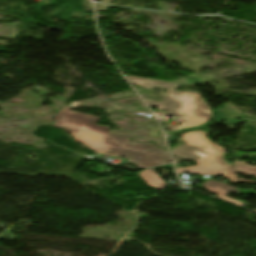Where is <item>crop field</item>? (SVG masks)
Returning a JSON list of instances; mask_svg holds the SVG:
<instances>
[{"label":"crop field","instance_id":"crop-field-1","mask_svg":"<svg viewBox=\"0 0 256 256\" xmlns=\"http://www.w3.org/2000/svg\"><path fill=\"white\" fill-rule=\"evenodd\" d=\"M51 126L64 128L77 142L98 155L129 158V163L138 164L137 167L149 168L168 164L166 151L157 149L153 144L129 143L130 139L113 136L109 131L81 127L62 122H55Z\"/></svg>","mask_w":256,"mask_h":256},{"label":"crop field","instance_id":"crop-field-2","mask_svg":"<svg viewBox=\"0 0 256 256\" xmlns=\"http://www.w3.org/2000/svg\"><path fill=\"white\" fill-rule=\"evenodd\" d=\"M125 76L131 83L144 87L146 90L151 89L153 86L169 89L170 98H163V102L144 98L149 105L164 109L168 114L184 116L181 126L165 125L167 130L176 131L190 126H198L212 116L207 103L200 98L197 92H173V88L178 84Z\"/></svg>","mask_w":256,"mask_h":256},{"label":"crop field","instance_id":"crop-field-3","mask_svg":"<svg viewBox=\"0 0 256 256\" xmlns=\"http://www.w3.org/2000/svg\"><path fill=\"white\" fill-rule=\"evenodd\" d=\"M194 161L198 163L197 166L188 168L176 167L178 174L181 175L184 172H189L197 175H223L228 177L232 182H237L233 165L226 164L221 156V153L196 159Z\"/></svg>","mask_w":256,"mask_h":256},{"label":"crop field","instance_id":"crop-field-4","mask_svg":"<svg viewBox=\"0 0 256 256\" xmlns=\"http://www.w3.org/2000/svg\"><path fill=\"white\" fill-rule=\"evenodd\" d=\"M100 117L61 109L55 120L71 124L108 130V126L94 125Z\"/></svg>","mask_w":256,"mask_h":256},{"label":"crop field","instance_id":"crop-field-5","mask_svg":"<svg viewBox=\"0 0 256 256\" xmlns=\"http://www.w3.org/2000/svg\"><path fill=\"white\" fill-rule=\"evenodd\" d=\"M204 189L217 195L220 198H223L225 200H228L230 202H233L238 205H242L244 203H241L236 200H232L230 198L225 197V195L230 191V192H235V193H240L237 188L229 187L221 182L217 181H212L208 180L206 183L203 185Z\"/></svg>","mask_w":256,"mask_h":256},{"label":"crop field","instance_id":"crop-field-6","mask_svg":"<svg viewBox=\"0 0 256 256\" xmlns=\"http://www.w3.org/2000/svg\"><path fill=\"white\" fill-rule=\"evenodd\" d=\"M200 148L208 149L210 151V153L206 154L205 152L200 151L199 150ZM193 151L200 152V153L204 154L205 156L221 152V150H219V149L199 147V146L186 144L183 148L180 147V146H175L172 150V153L174 155H177V156H180V157H183V158H188V159L199 158V156H196V155L191 153Z\"/></svg>","mask_w":256,"mask_h":256},{"label":"crop field","instance_id":"crop-field-7","mask_svg":"<svg viewBox=\"0 0 256 256\" xmlns=\"http://www.w3.org/2000/svg\"><path fill=\"white\" fill-rule=\"evenodd\" d=\"M218 115L216 122H223L232 118H246V116L234 105H226L219 110L214 111Z\"/></svg>","mask_w":256,"mask_h":256},{"label":"crop field","instance_id":"crop-field-8","mask_svg":"<svg viewBox=\"0 0 256 256\" xmlns=\"http://www.w3.org/2000/svg\"><path fill=\"white\" fill-rule=\"evenodd\" d=\"M206 133L207 132H203V131H192V132H187V133L183 134L182 137L184 140L188 141L187 143H189V144L217 148V145L209 142L205 138Z\"/></svg>","mask_w":256,"mask_h":256},{"label":"crop field","instance_id":"crop-field-9","mask_svg":"<svg viewBox=\"0 0 256 256\" xmlns=\"http://www.w3.org/2000/svg\"><path fill=\"white\" fill-rule=\"evenodd\" d=\"M139 175L151 187H155L158 190H161L167 187L164 184V182L161 180V178L154 172L153 169L144 170L143 172L139 173Z\"/></svg>","mask_w":256,"mask_h":256},{"label":"crop field","instance_id":"crop-field-10","mask_svg":"<svg viewBox=\"0 0 256 256\" xmlns=\"http://www.w3.org/2000/svg\"><path fill=\"white\" fill-rule=\"evenodd\" d=\"M246 162L247 161H235L234 166H235L236 172L256 176V166H249L246 164ZM237 180L238 182L255 183L250 180H244V179H237Z\"/></svg>","mask_w":256,"mask_h":256},{"label":"crop field","instance_id":"crop-field-11","mask_svg":"<svg viewBox=\"0 0 256 256\" xmlns=\"http://www.w3.org/2000/svg\"><path fill=\"white\" fill-rule=\"evenodd\" d=\"M234 157H248V158H252V157H256V153H238V154H234ZM254 159V158H252Z\"/></svg>","mask_w":256,"mask_h":256},{"label":"crop field","instance_id":"crop-field-12","mask_svg":"<svg viewBox=\"0 0 256 256\" xmlns=\"http://www.w3.org/2000/svg\"><path fill=\"white\" fill-rule=\"evenodd\" d=\"M248 121H232L229 124H225L227 127H229L230 129L234 128L232 127L233 125L239 124V123H247Z\"/></svg>","mask_w":256,"mask_h":256},{"label":"crop field","instance_id":"crop-field-13","mask_svg":"<svg viewBox=\"0 0 256 256\" xmlns=\"http://www.w3.org/2000/svg\"><path fill=\"white\" fill-rule=\"evenodd\" d=\"M242 193H248V194H256V191L254 190H248V189H241Z\"/></svg>","mask_w":256,"mask_h":256},{"label":"crop field","instance_id":"crop-field-14","mask_svg":"<svg viewBox=\"0 0 256 256\" xmlns=\"http://www.w3.org/2000/svg\"><path fill=\"white\" fill-rule=\"evenodd\" d=\"M162 167H164V168H167V169H169V170H171L172 172H173V174H175L174 173V169H173V165L172 164H170V165H166V166H162ZM156 168H154V170H155Z\"/></svg>","mask_w":256,"mask_h":256},{"label":"crop field","instance_id":"crop-field-15","mask_svg":"<svg viewBox=\"0 0 256 256\" xmlns=\"http://www.w3.org/2000/svg\"><path fill=\"white\" fill-rule=\"evenodd\" d=\"M194 153L197 154V155L203 156L202 154H199V153H197V152H194Z\"/></svg>","mask_w":256,"mask_h":256},{"label":"crop field","instance_id":"crop-field-16","mask_svg":"<svg viewBox=\"0 0 256 256\" xmlns=\"http://www.w3.org/2000/svg\"><path fill=\"white\" fill-rule=\"evenodd\" d=\"M201 150H202V149H201ZM203 151H205V152H207V153L209 152V151H207V150H203Z\"/></svg>","mask_w":256,"mask_h":256}]
</instances>
